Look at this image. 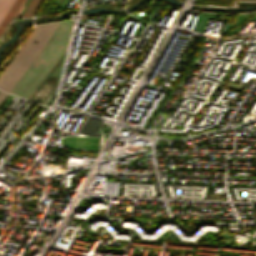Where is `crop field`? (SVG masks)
Returning <instances> with one entry per match:
<instances>
[{"label": "crop field", "mask_w": 256, "mask_h": 256, "mask_svg": "<svg viewBox=\"0 0 256 256\" xmlns=\"http://www.w3.org/2000/svg\"><path fill=\"white\" fill-rule=\"evenodd\" d=\"M73 20L60 22L29 68L11 89L10 93L29 99L65 52ZM51 72V71H50Z\"/></svg>", "instance_id": "1"}, {"label": "crop field", "mask_w": 256, "mask_h": 256, "mask_svg": "<svg viewBox=\"0 0 256 256\" xmlns=\"http://www.w3.org/2000/svg\"><path fill=\"white\" fill-rule=\"evenodd\" d=\"M23 0H16L9 12L7 13L6 17L4 18L3 22L0 24V34L8 24V22L11 20L17 9L19 8L20 4L22 3Z\"/></svg>", "instance_id": "2"}, {"label": "crop field", "mask_w": 256, "mask_h": 256, "mask_svg": "<svg viewBox=\"0 0 256 256\" xmlns=\"http://www.w3.org/2000/svg\"><path fill=\"white\" fill-rule=\"evenodd\" d=\"M42 0H31V2L29 3L28 7L26 8V10L24 11L22 17H30L33 16L34 12L36 11V9L38 8L39 4L41 3Z\"/></svg>", "instance_id": "3"}, {"label": "crop field", "mask_w": 256, "mask_h": 256, "mask_svg": "<svg viewBox=\"0 0 256 256\" xmlns=\"http://www.w3.org/2000/svg\"><path fill=\"white\" fill-rule=\"evenodd\" d=\"M15 0H0V23Z\"/></svg>", "instance_id": "4"}]
</instances>
